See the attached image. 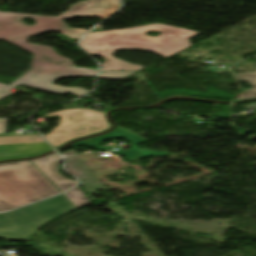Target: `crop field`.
<instances>
[{"instance_id":"8a807250","label":"crop field","mask_w":256,"mask_h":256,"mask_svg":"<svg viewBox=\"0 0 256 256\" xmlns=\"http://www.w3.org/2000/svg\"><path fill=\"white\" fill-rule=\"evenodd\" d=\"M26 18L34 19L37 24H25L22 20ZM51 31H58L72 39L80 38L87 32L71 28L58 17L0 12V39L34 53L32 69L10 86L23 84L60 94L70 92L76 96L90 92L84 88L58 86L53 82L60 77L95 76L97 70L74 66L71 59L57 54L50 46L27 43L29 36Z\"/></svg>"},{"instance_id":"ac0d7876","label":"crop field","mask_w":256,"mask_h":256,"mask_svg":"<svg viewBox=\"0 0 256 256\" xmlns=\"http://www.w3.org/2000/svg\"><path fill=\"white\" fill-rule=\"evenodd\" d=\"M160 32L156 37L145 33ZM200 33L171 27L163 24L129 28L110 32H93L80 42V46L91 55H101L106 61L102 71H138L143 67L136 66L113 57L118 49H139L155 52L165 58L190 47L188 39Z\"/></svg>"},{"instance_id":"34b2d1b8","label":"crop field","mask_w":256,"mask_h":256,"mask_svg":"<svg viewBox=\"0 0 256 256\" xmlns=\"http://www.w3.org/2000/svg\"><path fill=\"white\" fill-rule=\"evenodd\" d=\"M58 193L60 191L30 161L0 164V212Z\"/></svg>"},{"instance_id":"412701ff","label":"crop field","mask_w":256,"mask_h":256,"mask_svg":"<svg viewBox=\"0 0 256 256\" xmlns=\"http://www.w3.org/2000/svg\"><path fill=\"white\" fill-rule=\"evenodd\" d=\"M76 209L63 195L0 214V238L26 240L44 223Z\"/></svg>"},{"instance_id":"f4fd0767","label":"crop field","mask_w":256,"mask_h":256,"mask_svg":"<svg viewBox=\"0 0 256 256\" xmlns=\"http://www.w3.org/2000/svg\"><path fill=\"white\" fill-rule=\"evenodd\" d=\"M53 115L61 117L60 124L44 137L56 148L77 137L110 128V123L105 118L106 113L100 111L73 109L47 114Z\"/></svg>"},{"instance_id":"dd49c442","label":"crop field","mask_w":256,"mask_h":256,"mask_svg":"<svg viewBox=\"0 0 256 256\" xmlns=\"http://www.w3.org/2000/svg\"><path fill=\"white\" fill-rule=\"evenodd\" d=\"M49 150V145L35 133L0 136V160L35 156Z\"/></svg>"},{"instance_id":"e52e79f7","label":"crop field","mask_w":256,"mask_h":256,"mask_svg":"<svg viewBox=\"0 0 256 256\" xmlns=\"http://www.w3.org/2000/svg\"><path fill=\"white\" fill-rule=\"evenodd\" d=\"M120 0H86L70 6V9L60 15L63 19L97 17L104 19L116 11Z\"/></svg>"},{"instance_id":"d8731c3e","label":"crop field","mask_w":256,"mask_h":256,"mask_svg":"<svg viewBox=\"0 0 256 256\" xmlns=\"http://www.w3.org/2000/svg\"><path fill=\"white\" fill-rule=\"evenodd\" d=\"M57 154H52L46 157L32 160L48 178L63 192L72 187L76 181L69 180L58 173L57 163L61 161Z\"/></svg>"},{"instance_id":"5a996713","label":"crop field","mask_w":256,"mask_h":256,"mask_svg":"<svg viewBox=\"0 0 256 256\" xmlns=\"http://www.w3.org/2000/svg\"><path fill=\"white\" fill-rule=\"evenodd\" d=\"M235 75L238 81H246L254 87L248 91L240 93L235 102L256 98V72Z\"/></svg>"},{"instance_id":"3316defc","label":"crop field","mask_w":256,"mask_h":256,"mask_svg":"<svg viewBox=\"0 0 256 256\" xmlns=\"http://www.w3.org/2000/svg\"><path fill=\"white\" fill-rule=\"evenodd\" d=\"M65 196L77 207L90 203L78 186L66 192Z\"/></svg>"},{"instance_id":"28ad6ade","label":"crop field","mask_w":256,"mask_h":256,"mask_svg":"<svg viewBox=\"0 0 256 256\" xmlns=\"http://www.w3.org/2000/svg\"><path fill=\"white\" fill-rule=\"evenodd\" d=\"M133 73L135 72H104V73H100L98 78H106V79L123 78Z\"/></svg>"},{"instance_id":"d1516ede","label":"crop field","mask_w":256,"mask_h":256,"mask_svg":"<svg viewBox=\"0 0 256 256\" xmlns=\"http://www.w3.org/2000/svg\"><path fill=\"white\" fill-rule=\"evenodd\" d=\"M11 88L8 85L0 84V100L6 98L7 96L11 95L12 93H9L8 91L11 90Z\"/></svg>"},{"instance_id":"22f410ed","label":"crop field","mask_w":256,"mask_h":256,"mask_svg":"<svg viewBox=\"0 0 256 256\" xmlns=\"http://www.w3.org/2000/svg\"><path fill=\"white\" fill-rule=\"evenodd\" d=\"M7 119H0V134H4Z\"/></svg>"}]
</instances>
